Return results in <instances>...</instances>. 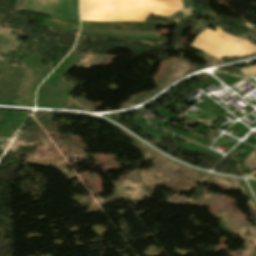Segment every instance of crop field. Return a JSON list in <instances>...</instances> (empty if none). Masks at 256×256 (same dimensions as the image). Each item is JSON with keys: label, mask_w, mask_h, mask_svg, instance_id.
Segmentation results:
<instances>
[{"label": "crop field", "mask_w": 256, "mask_h": 256, "mask_svg": "<svg viewBox=\"0 0 256 256\" xmlns=\"http://www.w3.org/2000/svg\"><path fill=\"white\" fill-rule=\"evenodd\" d=\"M181 0H80L82 21H139L150 15H171Z\"/></svg>", "instance_id": "8a807250"}, {"label": "crop field", "mask_w": 256, "mask_h": 256, "mask_svg": "<svg viewBox=\"0 0 256 256\" xmlns=\"http://www.w3.org/2000/svg\"><path fill=\"white\" fill-rule=\"evenodd\" d=\"M219 61L226 58H237L256 53V46L225 34L216 27V32L206 29L191 44Z\"/></svg>", "instance_id": "ac0d7876"}, {"label": "crop field", "mask_w": 256, "mask_h": 256, "mask_svg": "<svg viewBox=\"0 0 256 256\" xmlns=\"http://www.w3.org/2000/svg\"><path fill=\"white\" fill-rule=\"evenodd\" d=\"M240 71H241V73H243L246 76H248V75H255L256 74V66H251V67L243 68V69H240Z\"/></svg>", "instance_id": "34b2d1b8"}]
</instances>
